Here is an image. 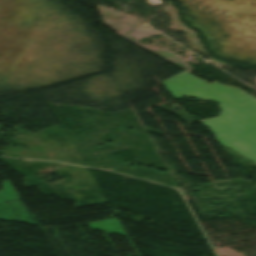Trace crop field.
I'll use <instances>...</instances> for the list:
<instances>
[{"label": "crop field", "instance_id": "8a807250", "mask_svg": "<svg viewBox=\"0 0 256 256\" xmlns=\"http://www.w3.org/2000/svg\"><path fill=\"white\" fill-rule=\"evenodd\" d=\"M163 84L174 98L187 95L220 103L219 117L199 122L210 129L220 144L256 164V98L218 82L208 85L185 71Z\"/></svg>", "mask_w": 256, "mask_h": 256}]
</instances>
